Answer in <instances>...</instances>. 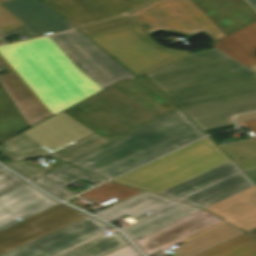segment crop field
<instances>
[{
	"instance_id": "crop-field-16",
	"label": "crop field",
	"mask_w": 256,
	"mask_h": 256,
	"mask_svg": "<svg viewBox=\"0 0 256 256\" xmlns=\"http://www.w3.org/2000/svg\"><path fill=\"white\" fill-rule=\"evenodd\" d=\"M227 35L256 20L255 11L244 0H193Z\"/></svg>"
},
{
	"instance_id": "crop-field-2",
	"label": "crop field",
	"mask_w": 256,
	"mask_h": 256,
	"mask_svg": "<svg viewBox=\"0 0 256 256\" xmlns=\"http://www.w3.org/2000/svg\"><path fill=\"white\" fill-rule=\"evenodd\" d=\"M174 108L147 78H141L121 80L62 112L103 137H117ZM0 152L13 161L50 154L21 133L1 143Z\"/></svg>"
},
{
	"instance_id": "crop-field-38",
	"label": "crop field",
	"mask_w": 256,
	"mask_h": 256,
	"mask_svg": "<svg viewBox=\"0 0 256 256\" xmlns=\"http://www.w3.org/2000/svg\"><path fill=\"white\" fill-rule=\"evenodd\" d=\"M254 229V228H253ZM252 230V229H251ZM249 233L253 234L256 236V229L252 230V231H249Z\"/></svg>"
},
{
	"instance_id": "crop-field-9",
	"label": "crop field",
	"mask_w": 256,
	"mask_h": 256,
	"mask_svg": "<svg viewBox=\"0 0 256 256\" xmlns=\"http://www.w3.org/2000/svg\"><path fill=\"white\" fill-rule=\"evenodd\" d=\"M85 216L87 215L59 204L28 218L0 232V255Z\"/></svg>"
},
{
	"instance_id": "crop-field-25",
	"label": "crop field",
	"mask_w": 256,
	"mask_h": 256,
	"mask_svg": "<svg viewBox=\"0 0 256 256\" xmlns=\"http://www.w3.org/2000/svg\"><path fill=\"white\" fill-rule=\"evenodd\" d=\"M198 256H256V238L244 233Z\"/></svg>"
},
{
	"instance_id": "crop-field-4",
	"label": "crop field",
	"mask_w": 256,
	"mask_h": 256,
	"mask_svg": "<svg viewBox=\"0 0 256 256\" xmlns=\"http://www.w3.org/2000/svg\"><path fill=\"white\" fill-rule=\"evenodd\" d=\"M202 136L177 109L69 163L109 179Z\"/></svg>"
},
{
	"instance_id": "crop-field-15",
	"label": "crop field",
	"mask_w": 256,
	"mask_h": 256,
	"mask_svg": "<svg viewBox=\"0 0 256 256\" xmlns=\"http://www.w3.org/2000/svg\"><path fill=\"white\" fill-rule=\"evenodd\" d=\"M0 64L9 72L0 82L30 127L53 116L1 55Z\"/></svg>"
},
{
	"instance_id": "crop-field-26",
	"label": "crop field",
	"mask_w": 256,
	"mask_h": 256,
	"mask_svg": "<svg viewBox=\"0 0 256 256\" xmlns=\"http://www.w3.org/2000/svg\"><path fill=\"white\" fill-rule=\"evenodd\" d=\"M243 170L256 167V142L252 139L220 146Z\"/></svg>"
},
{
	"instance_id": "crop-field-21",
	"label": "crop field",
	"mask_w": 256,
	"mask_h": 256,
	"mask_svg": "<svg viewBox=\"0 0 256 256\" xmlns=\"http://www.w3.org/2000/svg\"><path fill=\"white\" fill-rule=\"evenodd\" d=\"M253 185H255V183L243 172H241L200 192H197L181 200L180 202L205 208Z\"/></svg>"
},
{
	"instance_id": "crop-field-19",
	"label": "crop field",
	"mask_w": 256,
	"mask_h": 256,
	"mask_svg": "<svg viewBox=\"0 0 256 256\" xmlns=\"http://www.w3.org/2000/svg\"><path fill=\"white\" fill-rule=\"evenodd\" d=\"M79 179L93 183L102 178L66 164L31 182L35 183L36 185L43 188L52 195L64 200L76 194L75 192L65 188L64 186L72 182H75Z\"/></svg>"
},
{
	"instance_id": "crop-field-11",
	"label": "crop field",
	"mask_w": 256,
	"mask_h": 256,
	"mask_svg": "<svg viewBox=\"0 0 256 256\" xmlns=\"http://www.w3.org/2000/svg\"><path fill=\"white\" fill-rule=\"evenodd\" d=\"M73 25L80 26L129 13L151 0H42ZM144 6V5H143ZM133 12V11H132Z\"/></svg>"
},
{
	"instance_id": "crop-field-23",
	"label": "crop field",
	"mask_w": 256,
	"mask_h": 256,
	"mask_svg": "<svg viewBox=\"0 0 256 256\" xmlns=\"http://www.w3.org/2000/svg\"><path fill=\"white\" fill-rule=\"evenodd\" d=\"M28 127L0 84V141Z\"/></svg>"
},
{
	"instance_id": "crop-field-22",
	"label": "crop field",
	"mask_w": 256,
	"mask_h": 256,
	"mask_svg": "<svg viewBox=\"0 0 256 256\" xmlns=\"http://www.w3.org/2000/svg\"><path fill=\"white\" fill-rule=\"evenodd\" d=\"M238 171H240V169L232 161H230L188 181H185L159 195L178 200L196 190L224 179Z\"/></svg>"
},
{
	"instance_id": "crop-field-18",
	"label": "crop field",
	"mask_w": 256,
	"mask_h": 256,
	"mask_svg": "<svg viewBox=\"0 0 256 256\" xmlns=\"http://www.w3.org/2000/svg\"><path fill=\"white\" fill-rule=\"evenodd\" d=\"M201 209L177 202L151 216H148L122 231L131 239L143 237Z\"/></svg>"
},
{
	"instance_id": "crop-field-5",
	"label": "crop field",
	"mask_w": 256,
	"mask_h": 256,
	"mask_svg": "<svg viewBox=\"0 0 256 256\" xmlns=\"http://www.w3.org/2000/svg\"><path fill=\"white\" fill-rule=\"evenodd\" d=\"M228 161L230 159L206 137L112 182L158 194Z\"/></svg>"
},
{
	"instance_id": "crop-field-24",
	"label": "crop field",
	"mask_w": 256,
	"mask_h": 256,
	"mask_svg": "<svg viewBox=\"0 0 256 256\" xmlns=\"http://www.w3.org/2000/svg\"><path fill=\"white\" fill-rule=\"evenodd\" d=\"M127 242L117 233L113 236H99L57 256H102Z\"/></svg>"
},
{
	"instance_id": "crop-field-27",
	"label": "crop field",
	"mask_w": 256,
	"mask_h": 256,
	"mask_svg": "<svg viewBox=\"0 0 256 256\" xmlns=\"http://www.w3.org/2000/svg\"><path fill=\"white\" fill-rule=\"evenodd\" d=\"M143 191H139L136 189H132L129 187H125L122 185H118L115 183L108 182L100 187H97L91 191H88L80 196L92 200V201H99L104 202L108 199L113 197L123 201L127 198H130L136 194H139Z\"/></svg>"
},
{
	"instance_id": "crop-field-10",
	"label": "crop field",
	"mask_w": 256,
	"mask_h": 256,
	"mask_svg": "<svg viewBox=\"0 0 256 256\" xmlns=\"http://www.w3.org/2000/svg\"><path fill=\"white\" fill-rule=\"evenodd\" d=\"M106 227L88 216L1 256H54L104 232Z\"/></svg>"
},
{
	"instance_id": "crop-field-30",
	"label": "crop field",
	"mask_w": 256,
	"mask_h": 256,
	"mask_svg": "<svg viewBox=\"0 0 256 256\" xmlns=\"http://www.w3.org/2000/svg\"><path fill=\"white\" fill-rule=\"evenodd\" d=\"M6 0H0V2ZM24 23L0 5V29L5 33Z\"/></svg>"
},
{
	"instance_id": "crop-field-29",
	"label": "crop field",
	"mask_w": 256,
	"mask_h": 256,
	"mask_svg": "<svg viewBox=\"0 0 256 256\" xmlns=\"http://www.w3.org/2000/svg\"><path fill=\"white\" fill-rule=\"evenodd\" d=\"M134 22L128 17H122L86 27L79 28L81 32H83L86 36L97 34L100 32H104L107 30L115 29L118 27H122L125 25L133 24Z\"/></svg>"
},
{
	"instance_id": "crop-field-36",
	"label": "crop field",
	"mask_w": 256,
	"mask_h": 256,
	"mask_svg": "<svg viewBox=\"0 0 256 256\" xmlns=\"http://www.w3.org/2000/svg\"><path fill=\"white\" fill-rule=\"evenodd\" d=\"M247 175H249L255 182H256V169L250 170L245 172Z\"/></svg>"
},
{
	"instance_id": "crop-field-13",
	"label": "crop field",
	"mask_w": 256,
	"mask_h": 256,
	"mask_svg": "<svg viewBox=\"0 0 256 256\" xmlns=\"http://www.w3.org/2000/svg\"><path fill=\"white\" fill-rule=\"evenodd\" d=\"M221 222L223 221L201 210L167 227L153 232L143 237V241L135 243L146 255H150L166 246L176 243Z\"/></svg>"
},
{
	"instance_id": "crop-field-40",
	"label": "crop field",
	"mask_w": 256,
	"mask_h": 256,
	"mask_svg": "<svg viewBox=\"0 0 256 256\" xmlns=\"http://www.w3.org/2000/svg\"><path fill=\"white\" fill-rule=\"evenodd\" d=\"M0 168H2V167H0Z\"/></svg>"
},
{
	"instance_id": "crop-field-33",
	"label": "crop field",
	"mask_w": 256,
	"mask_h": 256,
	"mask_svg": "<svg viewBox=\"0 0 256 256\" xmlns=\"http://www.w3.org/2000/svg\"><path fill=\"white\" fill-rule=\"evenodd\" d=\"M107 256H139V254L130 246H126L118 251H115Z\"/></svg>"
},
{
	"instance_id": "crop-field-31",
	"label": "crop field",
	"mask_w": 256,
	"mask_h": 256,
	"mask_svg": "<svg viewBox=\"0 0 256 256\" xmlns=\"http://www.w3.org/2000/svg\"><path fill=\"white\" fill-rule=\"evenodd\" d=\"M6 165L28 179H31L46 171V169L43 167H32L24 161L7 163Z\"/></svg>"
},
{
	"instance_id": "crop-field-20",
	"label": "crop field",
	"mask_w": 256,
	"mask_h": 256,
	"mask_svg": "<svg viewBox=\"0 0 256 256\" xmlns=\"http://www.w3.org/2000/svg\"><path fill=\"white\" fill-rule=\"evenodd\" d=\"M173 202L176 201L152 193L143 192L95 215L111 222L125 214L135 218L150 211L155 212Z\"/></svg>"
},
{
	"instance_id": "crop-field-32",
	"label": "crop field",
	"mask_w": 256,
	"mask_h": 256,
	"mask_svg": "<svg viewBox=\"0 0 256 256\" xmlns=\"http://www.w3.org/2000/svg\"><path fill=\"white\" fill-rule=\"evenodd\" d=\"M25 182L19 180L5 170H0V195L23 184Z\"/></svg>"
},
{
	"instance_id": "crop-field-35",
	"label": "crop field",
	"mask_w": 256,
	"mask_h": 256,
	"mask_svg": "<svg viewBox=\"0 0 256 256\" xmlns=\"http://www.w3.org/2000/svg\"><path fill=\"white\" fill-rule=\"evenodd\" d=\"M241 127H248L256 135V120L240 124ZM256 140V136L254 138Z\"/></svg>"
},
{
	"instance_id": "crop-field-37",
	"label": "crop field",
	"mask_w": 256,
	"mask_h": 256,
	"mask_svg": "<svg viewBox=\"0 0 256 256\" xmlns=\"http://www.w3.org/2000/svg\"><path fill=\"white\" fill-rule=\"evenodd\" d=\"M256 9V0H248Z\"/></svg>"
},
{
	"instance_id": "crop-field-14",
	"label": "crop field",
	"mask_w": 256,
	"mask_h": 256,
	"mask_svg": "<svg viewBox=\"0 0 256 256\" xmlns=\"http://www.w3.org/2000/svg\"><path fill=\"white\" fill-rule=\"evenodd\" d=\"M56 203L25 183L0 196V231Z\"/></svg>"
},
{
	"instance_id": "crop-field-6",
	"label": "crop field",
	"mask_w": 256,
	"mask_h": 256,
	"mask_svg": "<svg viewBox=\"0 0 256 256\" xmlns=\"http://www.w3.org/2000/svg\"><path fill=\"white\" fill-rule=\"evenodd\" d=\"M137 76L148 74L191 52L168 50L152 42L135 24L89 36Z\"/></svg>"
},
{
	"instance_id": "crop-field-17",
	"label": "crop field",
	"mask_w": 256,
	"mask_h": 256,
	"mask_svg": "<svg viewBox=\"0 0 256 256\" xmlns=\"http://www.w3.org/2000/svg\"><path fill=\"white\" fill-rule=\"evenodd\" d=\"M213 47L246 67L256 64V22L215 42Z\"/></svg>"
},
{
	"instance_id": "crop-field-3",
	"label": "crop field",
	"mask_w": 256,
	"mask_h": 256,
	"mask_svg": "<svg viewBox=\"0 0 256 256\" xmlns=\"http://www.w3.org/2000/svg\"><path fill=\"white\" fill-rule=\"evenodd\" d=\"M0 54L53 115L102 90L48 36L2 46Z\"/></svg>"
},
{
	"instance_id": "crop-field-7",
	"label": "crop field",
	"mask_w": 256,
	"mask_h": 256,
	"mask_svg": "<svg viewBox=\"0 0 256 256\" xmlns=\"http://www.w3.org/2000/svg\"><path fill=\"white\" fill-rule=\"evenodd\" d=\"M129 16L150 36L166 32L193 38L204 33L213 41L225 36L192 0H157Z\"/></svg>"
},
{
	"instance_id": "crop-field-8",
	"label": "crop field",
	"mask_w": 256,
	"mask_h": 256,
	"mask_svg": "<svg viewBox=\"0 0 256 256\" xmlns=\"http://www.w3.org/2000/svg\"><path fill=\"white\" fill-rule=\"evenodd\" d=\"M76 68L103 89L136 78L77 29L49 36Z\"/></svg>"
},
{
	"instance_id": "crop-field-12",
	"label": "crop field",
	"mask_w": 256,
	"mask_h": 256,
	"mask_svg": "<svg viewBox=\"0 0 256 256\" xmlns=\"http://www.w3.org/2000/svg\"><path fill=\"white\" fill-rule=\"evenodd\" d=\"M25 25L0 35V45L8 44L4 38L20 33L26 38L43 36L45 32L53 33L73 28L53 10L39 0H10L0 3Z\"/></svg>"
},
{
	"instance_id": "crop-field-39",
	"label": "crop field",
	"mask_w": 256,
	"mask_h": 256,
	"mask_svg": "<svg viewBox=\"0 0 256 256\" xmlns=\"http://www.w3.org/2000/svg\"><path fill=\"white\" fill-rule=\"evenodd\" d=\"M249 68L256 72V65Z\"/></svg>"
},
{
	"instance_id": "crop-field-28",
	"label": "crop field",
	"mask_w": 256,
	"mask_h": 256,
	"mask_svg": "<svg viewBox=\"0 0 256 256\" xmlns=\"http://www.w3.org/2000/svg\"><path fill=\"white\" fill-rule=\"evenodd\" d=\"M106 142H109L108 140L94 134L88 138H85L53 155L50 157L62 159L65 161H70Z\"/></svg>"
},
{
	"instance_id": "crop-field-1",
	"label": "crop field",
	"mask_w": 256,
	"mask_h": 256,
	"mask_svg": "<svg viewBox=\"0 0 256 256\" xmlns=\"http://www.w3.org/2000/svg\"><path fill=\"white\" fill-rule=\"evenodd\" d=\"M147 76L203 130L232 124L231 114L256 109V75L214 49Z\"/></svg>"
},
{
	"instance_id": "crop-field-34",
	"label": "crop field",
	"mask_w": 256,
	"mask_h": 256,
	"mask_svg": "<svg viewBox=\"0 0 256 256\" xmlns=\"http://www.w3.org/2000/svg\"><path fill=\"white\" fill-rule=\"evenodd\" d=\"M253 119H256V112L235 117V120L238 123L248 121V120H253Z\"/></svg>"
}]
</instances>
